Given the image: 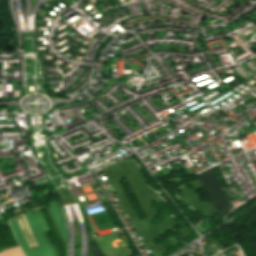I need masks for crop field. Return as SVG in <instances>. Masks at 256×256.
Returning a JSON list of instances; mask_svg holds the SVG:
<instances>
[{"instance_id":"crop-field-7","label":"crop field","mask_w":256,"mask_h":256,"mask_svg":"<svg viewBox=\"0 0 256 256\" xmlns=\"http://www.w3.org/2000/svg\"><path fill=\"white\" fill-rule=\"evenodd\" d=\"M89 239H90V250L94 254V256H104L103 253L100 251V249L95 244V242H94L92 236L90 235V233H89Z\"/></svg>"},{"instance_id":"crop-field-3","label":"crop field","mask_w":256,"mask_h":256,"mask_svg":"<svg viewBox=\"0 0 256 256\" xmlns=\"http://www.w3.org/2000/svg\"><path fill=\"white\" fill-rule=\"evenodd\" d=\"M206 193L210 197L215 209L218 213L223 216L230 211L233 207L227 199L223 189L216 180V177L212 171L209 169L198 175Z\"/></svg>"},{"instance_id":"crop-field-8","label":"crop field","mask_w":256,"mask_h":256,"mask_svg":"<svg viewBox=\"0 0 256 256\" xmlns=\"http://www.w3.org/2000/svg\"><path fill=\"white\" fill-rule=\"evenodd\" d=\"M20 217H21V219H22V221H23V223H24V225H25V227H26V229H27L28 233L30 234L31 232L29 231V229H28V227H27V225H26V222H25V220H24L23 216L21 215ZM18 221H19V223H20V225H21L22 229L24 230L25 228H24V226H23V224H22L21 220L19 219Z\"/></svg>"},{"instance_id":"crop-field-2","label":"crop field","mask_w":256,"mask_h":256,"mask_svg":"<svg viewBox=\"0 0 256 256\" xmlns=\"http://www.w3.org/2000/svg\"><path fill=\"white\" fill-rule=\"evenodd\" d=\"M104 173V175L106 176V178L108 179L112 189L114 190V192L116 193L120 203L122 204L125 212L127 213V215L129 216L132 224L134 225L135 229L137 230V232L140 234L141 238L143 239L144 243L146 244L148 250L150 251V253L153 256H160L158 254V252L156 251L149 235L147 234L144 226L142 225V223L140 222L139 218L137 217V215L135 214V212L133 211L132 207L130 206L122 188L120 187V185L118 184V182L116 181L110 167L106 170L102 171Z\"/></svg>"},{"instance_id":"crop-field-4","label":"crop field","mask_w":256,"mask_h":256,"mask_svg":"<svg viewBox=\"0 0 256 256\" xmlns=\"http://www.w3.org/2000/svg\"><path fill=\"white\" fill-rule=\"evenodd\" d=\"M119 166H120L121 170L123 171V173H124V175H125V177H126L128 183H129V185H130V187H131V189H132V191H133L135 197L137 198V200H138L140 206H141L142 209L144 210V212H145V214L147 215V217L153 216L152 211L150 210L148 204L146 203V201H145V199L143 198V196H142L140 190L138 189V187H137V185H136V183H135V181H134V179H133V177H132V175H131L129 169L127 168L125 162L119 163Z\"/></svg>"},{"instance_id":"crop-field-6","label":"crop field","mask_w":256,"mask_h":256,"mask_svg":"<svg viewBox=\"0 0 256 256\" xmlns=\"http://www.w3.org/2000/svg\"><path fill=\"white\" fill-rule=\"evenodd\" d=\"M0 256H24L21 249L19 247L4 250V252L0 253Z\"/></svg>"},{"instance_id":"crop-field-5","label":"crop field","mask_w":256,"mask_h":256,"mask_svg":"<svg viewBox=\"0 0 256 256\" xmlns=\"http://www.w3.org/2000/svg\"><path fill=\"white\" fill-rule=\"evenodd\" d=\"M49 209H50V211H51V213H52V215H53V217H54V219H55V221L58 225V228H59L62 236L64 237V239L67 243V240H66V226L63 223V221H62V219L59 215V212H58V210H57L53 201L49 203Z\"/></svg>"},{"instance_id":"crop-field-1","label":"crop field","mask_w":256,"mask_h":256,"mask_svg":"<svg viewBox=\"0 0 256 256\" xmlns=\"http://www.w3.org/2000/svg\"><path fill=\"white\" fill-rule=\"evenodd\" d=\"M24 214H25L27 223H28L37 243L41 247L38 249L30 250L23 239V236L21 234V231L19 229L16 219L15 218L11 219L10 223L12 225L15 237H16L21 249L25 253V255L26 256H55L52 253V251L50 250V248L46 242V239H45L44 235L42 234V232L35 220V217L31 213V211L25 212Z\"/></svg>"}]
</instances>
